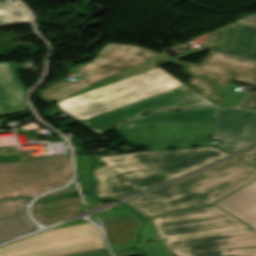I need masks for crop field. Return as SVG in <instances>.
<instances>
[{
	"label": "crop field",
	"mask_w": 256,
	"mask_h": 256,
	"mask_svg": "<svg viewBox=\"0 0 256 256\" xmlns=\"http://www.w3.org/2000/svg\"><path fill=\"white\" fill-rule=\"evenodd\" d=\"M199 48L256 61V27L232 23L212 32Z\"/></svg>",
	"instance_id": "d1516ede"
},
{
	"label": "crop field",
	"mask_w": 256,
	"mask_h": 256,
	"mask_svg": "<svg viewBox=\"0 0 256 256\" xmlns=\"http://www.w3.org/2000/svg\"><path fill=\"white\" fill-rule=\"evenodd\" d=\"M69 256H110L107 249H99V250H94V251H89V252H84V253H79V254H74V255H69Z\"/></svg>",
	"instance_id": "eef30255"
},
{
	"label": "crop field",
	"mask_w": 256,
	"mask_h": 256,
	"mask_svg": "<svg viewBox=\"0 0 256 256\" xmlns=\"http://www.w3.org/2000/svg\"><path fill=\"white\" fill-rule=\"evenodd\" d=\"M24 95L8 62L0 63V116L27 111Z\"/></svg>",
	"instance_id": "cbeb9de0"
},
{
	"label": "crop field",
	"mask_w": 256,
	"mask_h": 256,
	"mask_svg": "<svg viewBox=\"0 0 256 256\" xmlns=\"http://www.w3.org/2000/svg\"><path fill=\"white\" fill-rule=\"evenodd\" d=\"M70 157L0 163V198H30L70 180Z\"/></svg>",
	"instance_id": "f4fd0767"
},
{
	"label": "crop field",
	"mask_w": 256,
	"mask_h": 256,
	"mask_svg": "<svg viewBox=\"0 0 256 256\" xmlns=\"http://www.w3.org/2000/svg\"><path fill=\"white\" fill-rule=\"evenodd\" d=\"M82 210V205L75 194L35 203L32 207L34 217L45 225L65 219Z\"/></svg>",
	"instance_id": "733c2abd"
},
{
	"label": "crop field",
	"mask_w": 256,
	"mask_h": 256,
	"mask_svg": "<svg viewBox=\"0 0 256 256\" xmlns=\"http://www.w3.org/2000/svg\"><path fill=\"white\" fill-rule=\"evenodd\" d=\"M256 179V169L232 159L129 202L147 217L205 207Z\"/></svg>",
	"instance_id": "ac0d7876"
},
{
	"label": "crop field",
	"mask_w": 256,
	"mask_h": 256,
	"mask_svg": "<svg viewBox=\"0 0 256 256\" xmlns=\"http://www.w3.org/2000/svg\"><path fill=\"white\" fill-rule=\"evenodd\" d=\"M105 243L91 223L44 231L0 248V256H64L99 248Z\"/></svg>",
	"instance_id": "dd49c442"
},
{
	"label": "crop field",
	"mask_w": 256,
	"mask_h": 256,
	"mask_svg": "<svg viewBox=\"0 0 256 256\" xmlns=\"http://www.w3.org/2000/svg\"><path fill=\"white\" fill-rule=\"evenodd\" d=\"M84 197H85V200H86L87 202H89L90 204H92L93 206L98 205V203H97L96 200L90 199L89 196H84Z\"/></svg>",
	"instance_id": "d32e631a"
},
{
	"label": "crop field",
	"mask_w": 256,
	"mask_h": 256,
	"mask_svg": "<svg viewBox=\"0 0 256 256\" xmlns=\"http://www.w3.org/2000/svg\"><path fill=\"white\" fill-rule=\"evenodd\" d=\"M159 58H163V59L166 61V63L170 62L164 55H161V56H159V57H157V58H155V59H153V60H150V61H148V62H146V63H144V64H142V65H139V66H137V67H135V68H133V69H130V70H128V71H126V72H124V73H122V74H119V75H117V76H115V77H113V78H111V79H108V80L103 81V82H101V83H99V84H96V85H94V86H91V87H89V88H87V89H85V90H83V91H81V92H79V93H77V94H75V95L84 93V92H86V91H89V90H92V89L101 87V86H103V85H106V84H109V83L118 81V80H120V79L129 77V76H132V75H134V74H137V73H140V72L149 70V69H151V68L157 67V66H159L160 64H156V63H155V60H157V59H159ZM75 95H73V96H75ZM71 97H72V96H71ZM69 98H70V97H69Z\"/></svg>",
	"instance_id": "92a150f3"
},
{
	"label": "crop field",
	"mask_w": 256,
	"mask_h": 256,
	"mask_svg": "<svg viewBox=\"0 0 256 256\" xmlns=\"http://www.w3.org/2000/svg\"><path fill=\"white\" fill-rule=\"evenodd\" d=\"M91 163V158L87 156L75 157L76 171H78L77 179L80 183L82 193L90 190L87 171Z\"/></svg>",
	"instance_id": "dafd665d"
},
{
	"label": "crop field",
	"mask_w": 256,
	"mask_h": 256,
	"mask_svg": "<svg viewBox=\"0 0 256 256\" xmlns=\"http://www.w3.org/2000/svg\"><path fill=\"white\" fill-rule=\"evenodd\" d=\"M182 86L185 85L157 67L57 102L61 109L47 115L57 118V113L65 111L82 121Z\"/></svg>",
	"instance_id": "34b2d1b8"
},
{
	"label": "crop field",
	"mask_w": 256,
	"mask_h": 256,
	"mask_svg": "<svg viewBox=\"0 0 256 256\" xmlns=\"http://www.w3.org/2000/svg\"><path fill=\"white\" fill-rule=\"evenodd\" d=\"M102 222L106 224L110 245H132L140 224V221L133 214L103 220Z\"/></svg>",
	"instance_id": "4a817a6b"
},
{
	"label": "crop field",
	"mask_w": 256,
	"mask_h": 256,
	"mask_svg": "<svg viewBox=\"0 0 256 256\" xmlns=\"http://www.w3.org/2000/svg\"><path fill=\"white\" fill-rule=\"evenodd\" d=\"M227 154L213 148L149 151L99 157L93 170L98 197H123L186 174Z\"/></svg>",
	"instance_id": "8a807250"
},
{
	"label": "crop field",
	"mask_w": 256,
	"mask_h": 256,
	"mask_svg": "<svg viewBox=\"0 0 256 256\" xmlns=\"http://www.w3.org/2000/svg\"><path fill=\"white\" fill-rule=\"evenodd\" d=\"M185 84L214 105H220L227 97L215 87L213 82L204 78L191 77Z\"/></svg>",
	"instance_id": "bc2a9ffb"
},
{
	"label": "crop field",
	"mask_w": 256,
	"mask_h": 256,
	"mask_svg": "<svg viewBox=\"0 0 256 256\" xmlns=\"http://www.w3.org/2000/svg\"><path fill=\"white\" fill-rule=\"evenodd\" d=\"M152 220L165 239L251 228L214 205Z\"/></svg>",
	"instance_id": "d8731c3e"
},
{
	"label": "crop field",
	"mask_w": 256,
	"mask_h": 256,
	"mask_svg": "<svg viewBox=\"0 0 256 256\" xmlns=\"http://www.w3.org/2000/svg\"><path fill=\"white\" fill-rule=\"evenodd\" d=\"M31 22L30 17L16 1L0 4V26Z\"/></svg>",
	"instance_id": "214f88e0"
},
{
	"label": "crop field",
	"mask_w": 256,
	"mask_h": 256,
	"mask_svg": "<svg viewBox=\"0 0 256 256\" xmlns=\"http://www.w3.org/2000/svg\"><path fill=\"white\" fill-rule=\"evenodd\" d=\"M159 55L161 54L137 46L109 44L98 53L93 62L84 63L73 69L83 75L77 82L66 80L57 83L40 92L39 96L54 102L60 101Z\"/></svg>",
	"instance_id": "412701ff"
},
{
	"label": "crop field",
	"mask_w": 256,
	"mask_h": 256,
	"mask_svg": "<svg viewBox=\"0 0 256 256\" xmlns=\"http://www.w3.org/2000/svg\"><path fill=\"white\" fill-rule=\"evenodd\" d=\"M191 88L185 86L135 104L82 121L84 125L99 135L109 129L143 113L156 110H170L188 107L211 106ZM144 114V113H143Z\"/></svg>",
	"instance_id": "e52e79f7"
},
{
	"label": "crop field",
	"mask_w": 256,
	"mask_h": 256,
	"mask_svg": "<svg viewBox=\"0 0 256 256\" xmlns=\"http://www.w3.org/2000/svg\"><path fill=\"white\" fill-rule=\"evenodd\" d=\"M70 70H72V68H70Z\"/></svg>",
	"instance_id": "028f5c9d"
},
{
	"label": "crop field",
	"mask_w": 256,
	"mask_h": 256,
	"mask_svg": "<svg viewBox=\"0 0 256 256\" xmlns=\"http://www.w3.org/2000/svg\"><path fill=\"white\" fill-rule=\"evenodd\" d=\"M175 256H223L222 249L256 247L250 229L164 240Z\"/></svg>",
	"instance_id": "5a996713"
},
{
	"label": "crop field",
	"mask_w": 256,
	"mask_h": 256,
	"mask_svg": "<svg viewBox=\"0 0 256 256\" xmlns=\"http://www.w3.org/2000/svg\"><path fill=\"white\" fill-rule=\"evenodd\" d=\"M29 201L28 198L0 200V242L35 229L25 215Z\"/></svg>",
	"instance_id": "22f410ed"
},
{
	"label": "crop field",
	"mask_w": 256,
	"mask_h": 256,
	"mask_svg": "<svg viewBox=\"0 0 256 256\" xmlns=\"http://www.w3.org/2000/svg\"><path fill=\"white\" fill-rule=\"evenodd\" d=\"M211 139L229 153L256 143V112L216 108Z\"/></svg>",
	"instance_id": "3316defc"
},
{
	"label": "crop field",
	"mask_w": 256,
	"mask_h": 256,
	"mask_svg": "<svg viewBox=\"0 0 256 256\" xmlns=\"http://www.w3.org/2000/svg\"><path fill=\"white\" fill-rule=\"evenodd\" d=\"M80 223H86V221H83V220H81V219H78V220L72 221V222H70V223H68V224H65V225H63V226H60V227L69 226V225H75V224H80ZM57 228H59V227H57Z\"/></svg>",
	"instance_id": "120bbe31"
},
{
	"label": "crop field",
	"mask_w": 256,
	"mask_h": 256,
	"mask_svg": "<svg viewBox=\"0 0 256 256\" xmlns=\"http://www.w3.org/2000/svg\"><path fill=\"white\" fill-rule=\"evenodd\" d=\"M244 161L256 166V150H253L243 156L240 157Z\"/></svg>",
	"instance_id": "750c4746"
},
{
	"label": "crop field",
	"mask_w": 256,
	"mask_h": 256,
	"mask_svg": "<svg viewBox=\"0 0 256 256\" xmlns=\"http://www.w3.org/2000/svg\"><path fill=\"white\" fill-rule=\"evenodd\" d=\"M142 240H155L156 234L153 225L148 221L146 227L142 231Z\"/></svg>",
	"instance_id": "730fd06b"
},
{
	"label": "crop field",
	"mask_w": 256,
	"mask_h": 256,
	"mask_svg": "<svg viewBox=\"0 0 256 256\" xmlns=\"http://www.w3.org/2000/svg\"><path fill=\"white\" fill-rule=\"evenodd\" d=\"M215 204L256 231V182Z\"/></svg>",
	"instance_id": "5142ce71"
},
{
	"label": "crop field",
	"mask_w": 256,
	"mask_h": 256,
	"mask_svg": "<svg viewBox=\"0 0 256 256\" xmlns=\"http://www.w3.org/2000/svg\"><path fill=\"white\" fill-rule=\"evenodd\" d=\"M240 107V106H239ZM241 107L256 109V92L251 93L245 101L242 103Z\"/></svg>",
	"instance_id": "d3111659"
},
{
	"label": "crop field",
	"mask_w": 256,
	"mask_h": 256,
	"mask_svg": "<svg viewBox=\"0 0 256 256\" xmlns=\"http://www.w3.org/2000/svg\"><path fill=\"white\" fill-rule=\"evenodd\" d=\"M137 249L142 250L151 256H169L167 248L159 242H144L136 245Z\"/></svg>",
	"instance_id": "00972430"
},
{
	"label": "crop field",
	"mask_w": 256,
	"mask_h": 256,
	"mask_svg": "<svg viewBox=\"0 0 256 256\" xmlns=\"http://www.w3.org/2000/svg\"><path fill=\"white\" fill-rule=\"evenodd\" d=\"M174 63L187 66V73L207 77L216 82L221 90L233 81L256 84V63L209 52L199 64L184 61Z\"/></svg>",
	"instance_id": "28ad6ade"
},
{
	"label": "crop field",
	"mask_w": 256,
	"mask_h": 256,
	"mask_svg": "<svg viewBox=\"0 0 256 256\" xmlns=\"http://www.w3.org/2000/svg\"><path fill=\"white\" fill-rule=\"evenodd\" d=\"M115 256H129L126 255L125 249H118V250H113Z\"/></svg>",
	"instance_id": "1d83c4d3"
},
{
	"label": "crop field",
	"mask_w": 256,
	"mask_h": 256,
	"mask_svg": "<svg viewBox=\"0 0 256 256\" xmlns=\"http://www.w3.org/2000/svg\"><path fill=\"white\" fill-rule=\"evenodd\" d=\"M75 192H76V187H75V184L73 183L68 189L61 190V191H59L57 193L46 195V196L42 197L40 200H38V201H43V200H47V199H50V198H54V197H56L58 195H61V194L75 193Z\"/></svg>",
	"instance_id": "ae1a2a85"
},
{
	"label": "crop field",
	"mask_w": 256,
	"mask_h": 256,
	"mask_svg": "<svg viewBox=\"0 0 256 256\" xmlns=\"http://www.w3.org/2000/svg\"><path fill=\"white\" fill-rule=\"evenodd\" d=\"M215 108L159 112L147 114L121 128L162 125L182 122L213 120Z\"/></svg>",
	"instance_id": "d9b57169"
},
{
	"label": "crop field",
	"mask_w": 256,
	"mask_h": 256,
	"mask_svg": "<svg viewBox=\"0 0 256 256\" xmlns=\"http://www.w3.org/2000/svg\"><path fill=\"white\" fill-rule=\"evenodd\" d=\"M212 123H213V121H211V128H212ZM210 133H211V129H210Z\"/></svg>",
	"instance_id": "5866460e"
},
{
	"label": "crop field",
	"mask_w": 256,
	"mask_h": 256,
	"mask_svg": "<svg viewBox=\"0 0 256 256\" xmlns=\"http://www.w3.org/2000/svg\"><path fill=\"white\" fill-rule=\"evenodd\" d=\"M235 23L256 26V15L243 17V18L235 21Z\"/></svg>",
	"instance_id": "bd1437ed"
},
{
	"label": "crop field",
	"mask_w": 256,
	"mask_h": 256,
	"mask_svg": "<svg viewBox=\"0 0 256 256\" xmlns=\"http://www.w3.org/2000/svg\"><path fill=\"white\" fill-rule=\"evenodd\" d=\"M101 220L108 219L112 217L122 216L126 214H131L126 208H124L122 205L117 206L112 209H108L102 212L97 213Z\"/></svg>",
	"instance_id": "a9b5d70f"
},
{
	"label": "crop field",
	"mask_w": 256,
	"mask_h": 256,
	"mask_svg": "<svg viewBox=\"0 0 256 256\" xmlns=\"http://www.w3.org/2000/svg\"><path fill=\"white\" fill-rule=\"evenodd\" d=\"M224 256H256V248L223 250Z\"/></svg>",
	"instance_id": "4177f3b9"
}]
</instances>
